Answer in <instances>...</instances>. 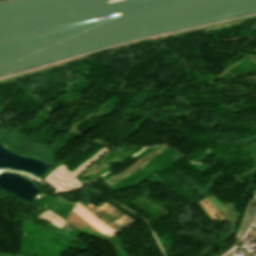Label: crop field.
I'll use <instances>...</instances> for the list:
<instances>
[{
    "instance_id": "crop-field-2",
    "label": "crop field",
    "mask_w": 256,
    "mask_h": 256,
    "mask_svg": "<svg viewBox=\"0 0 256 256\" xmlns=\"http://www.w3.org/2000/svg\"><path fill=\"white\" fill-rule=\"evenodd\" d=\"M256 210V197L252 198V200L250 201V203L248 204L246 211H245V215H244V219L243 222L241 224V227L236 235V238L240 235V233L244 230V228L246 227L249 219L251 218L252 214L254 213V211ZM254 215V214H253ZM251 220V219H250Z\"/></svg>"
},
{
    "instance_id": "crop-field-1",
    "label": "crop field",
    "mask_w": 256,
    "mask_h": 256,
    "mask_svg": "<svg viewBox=\"0 0 256 256\" xmlns=\"http://www.w3.org/2000/svg\"><path fill=\"white\" fill-rule=\"evenodd\" d=\"M86 206H88L90 209H92L94 212H96L98 215H100L102 218H104L121 232L129 226L137 223L106 202L97 207L91 203Z\"/></svg>"
}]
</instances>
